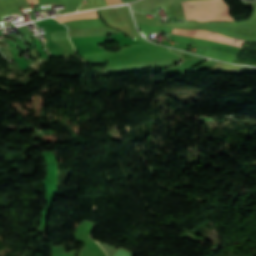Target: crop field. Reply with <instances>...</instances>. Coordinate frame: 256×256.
<instances>
[{"mask_svg":"<svg viewBox=\"0 0 256 256\" xmlns=\"http://www.w3.org/2000/svg\"><path fill=\"white\" fill-rule=\"evenodd\" d=\"M187 0H143L131 5V8L149 11L159 5ZM186 20L234 21L229 16L230 8L224 0H198L182 2Z\"/></svg>","mask_w":256,"mask_h":256,"instance_id":"1","label":"crop field"},{"mask_svg":"<svg viewBox=\"0 0 256 256\" xmlns=\"http://www.w3.org/2000/svg\"><path fill=\"white\" fill-rule=\"evenodd\" d=\"M172 34L198 37V38L216 41V42H220V43H225V44H229V45H234V46H238V47H241L244 42L243 40L231 39V38H227L222 35H218V34L207 32V31H200V30L174 29Z\"/></svg>","mask_w":256,"mask_h":256,"instance_id":"2","label":"crop field"},{"mask_svg":"<svg viewBox=\"0 0 256 256\" xmlns=\"http://www.w3.org/2000/svg\"><path fill=\"white\" fill-rule=\"evenodd\" d=\"M56 18L61 22H64V21L74 20V19H89V18H98V17L95 11H88V12L70 14L62 17H56Z\"/></svg>","mask_w":256,"mask_h":256,"instance_id":"3","label":"crop field"}]
</instances>
